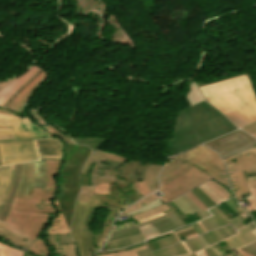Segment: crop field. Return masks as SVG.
<instances>
[{
	"mask_svg": "<svg viewBox=\"0 0 256 256\" xmlns=\"http://www.w3.org/2000/svg\"><path fill=\"white\" fill-rule=\"evenodd\" d=\"M186 99L189 106L178 113L173 136L169 140V156L237 129L201 98L194 84L189 85Z\"/></svg>",
	"mask_w": 256,
	"mask_h": 256,
	"instance_id": "1",
	"label": "crop field"
},
{
	"mask_svg": "<svg viewBox=\"0 0 256 256\" xmlns=\"http://www.w3.org/2000/svg\"><path fill=\"white\" fill-rule=\"evenodd\" d=\"M47 162V184L46 188H35L31 199L15 198L9 217L5 223L14 227L16 232L25 235V241L30 245V250L40 256H49L50 250L47 248L42 238H37L49 213L56 211L51 208V201L57 191L55 183L58 168L61 161Z\"/></svg>",
	"mask_w": 256,
	"mask_h": 256,
	"instance_id": "2",
	"label": "crop field"
},
{
	"mask_svg": "<svg viewBox=\"0 0 256 256\" xmlns=\"http://www.w3.org/2000/svg\"><path fill=\"white\" fill-rule=\"evenodd\" d=\"M163 167L158 164H142L130 161L123 165L106 160L93 176V186H82L77 201L88 202L92 194L118 195L117 188L130 192L125 184L134 183L144 195L159 188L157 173Z\"/></svg>",
	"mask_w": 256,
	"mask_h": 256,
	"instance_id": "3",
	"label": "crop field"
},
{
	"mask_svg": "<svg viewBox=\"0 0 256 256\" xmlns=\"http://www.w3.org/2000/svg\"><path fill=\"white\" fill-rule=\"evenodd\" d=\"M199 90L209 103L239 128L256 121V104L245 76L200 87Z\"/></svg>",
	"mask_w": 256,
	"mask_h": 256,
	"instance_id": "4",
	"label": "crop field"
},
{
	"mask_svg": "<svg viewBox=\"0 0 256 256\" xmlns=\"http://www.w3.org/2000/svg\"><path fill=\"white\" fill-rule=\"evenodd\" d=\"M89 154L90 149L87 147L77 145L65 146V166L60 174L59 183V188L61 190L59 205L68 228H70L74 201L80 190L79 173Z\"/></svg>",
	"mask_w": 256,
	"mask_h": 256,
	"instance_id": "5",
	"label": "crop field"
},
{
	"mask_svg": "<svg viewBox=\"0 0 256 256\" xmlns=\"http://www.w3.org/2000/svg\"><path fill=\"white\" fill-rule=\"evenodd\" d=\"M209 179L211 177L203 171L175 159L164 166L160 173L159 191L165 195L161 199L168 202Z\"/></svg>",
	"mask_w": 256,
	"mask_h": 256,
	"instance_id": "6",
	"label": "crop field"
},
{
	"mask_svg": "<svg viewBox=\"0 0 256 256\" xmlns=\"http://www.w3.org/2000/svg\"><path fill=\"white\" fill-rule=\"evenodd\" d=\"M87 203L77 202L71 233L77 245L79 256H92L104 245L102 233L93 235L89 230L95 208L86 207Z\"/></svg>",
	"mask_w": 256,
	"mask_h": 256,
	"instance_id": "7",
	"label": "crop field"
},
{
	"mask_svg": "<svg viewBox=\"0 0 256 256\" xmlns=\"http://www.w3.org/2000/svg\"><path fill=\"white\" fill-rule=\"evenodd\" d=\"M176 157L205 170L216 180L230 187L224 165L219 156L212 150L200 145Z\"/></svg>",
	"mask_w": 256,
	"mask_h": 256,
	"instance_id": "8",
	"label": "crop field"
},
{
	"mask_svg": "<svg viewBox=\"0 0 256 256\" xmlns=\"http://www.w3.org/2000/svg\"><path fill=\"white\" fill-rule=\"evenodd\" d=\"M205 145L218 152L222 160L256 146V140L242 131L231 133Z\"/></svg>",
	"mask_w": 256,
	"mask_h": 256,
	"instance_id": "9",
	"label": "crop field"
},
{
	"mask_svg": "<svg viewBox=\"0 0 256 256\" xmlns=\"http://www.w3.org/2000/svg\"><path fill=\"white\" fill-rule=\"evenodd\" d=\"M2 165L38 159L33 139L21 142L0 143Z\"/></svg>",
	"mask_w": 256,
	"mask_h": 256,
	"instance_id": "10",
	"label": "crop field"
},
{
	"mask_svg": "<svg viewBox=\"0 0 256 256\" xmlns=\"http://www.w3.org/2000/svg\"><path fill=\"white\" fill-rule=\"evenodd\" d=\"M117 190L120 193L118 196L93 195L88 204L89 207L104 208V209L111 210L104 222V227H103L104 243L107 239L108 233L110 232V226L112 224L113 219L116 217L118 213H120L122 210L128 207L121 202L125 200L128 202L132 201L124 197L123 196L124 193L120 189H117Z\"/></svg>",
	"mask_w": 256,
	"mask_h": 256,
	"instance_id": "11",
	"label": "crop field"
},
{
	"mask_svg": "<svg viewBox=\"0 0 256 256\" xmlns=\"http://www.w3.org/2000/svg\"><path fill=\"white\" fill-rule=\"evenodd\" d=\"M0 127H10L16 141L39 137H52L30 118L19 120L0 119Z\"/></svg>",
	"mask_w": 256,
	"mask_h": 256,
	"instance_id": "12",
	"label": "crop field"
},
{
	"mask_svg": "<svg viewBox=\"0 0 256 256\" xmlns=\"http://www.w3.org/2000/svg\"><path fill=\"white\" fill-rule=\"evenodd\" d=\"M46 75L47 72L44 70L41 74H39L35 79H33L28 85H26L23 88V90L16 96V98L13 100V102L8 106L6 110L0 108V113L24 117V114L18 113L19 110L24 104L27 96L31 93L35 86L44 79Z\"/></svg>",
	"mask_w": 256,
	"mask_h": 256,
	"instance_id": "13",
	"label": "crop field"
},
{
	"mask_svg": "<svg viewBox=\"0 0 256 256\" xmlns=\"http://www.w3.org/2000/svg\"><path fill=\"white\" fill-rule=\"evenodd\" d=\"M34 162L22 163L21 181L15 197L30 198L34 189Z\"/></svg>",
	"mask_w": 256,
	"mask_h": 256,
	"instance_id": "14",
	"label": "crop field"
},
{
	"mask_svg": "<svg viewBox=\"0 0 256 256\" xmlns=\"http://www.w3.org/2000/svg\"><path fill=\"white\" fill-rule=\"evenodd\" d=\"M240 190L234 191L238 202L244 201V193L249 192L247 183L249 182L251 196H256V170L235 173Z\"/></svg>",
	"mask_w": 256,
	"mask_h": 256,
	"instance_id": "15",
	"label": "crop field"
},
{
	"mask_svg": "<svg viewBox=\"0 0 256 256\" xmlns=\"http://www.w3.org/2000/svg\"><path fill=\"white\" fill-rule=\"evenodd\" d=\"M39 149L40 156H63L64 145L61 139L56 138H39L35 139Z\"/></svg>",
	"mask_w": 256,
	"mask_h": 256,
	"instance_id": "16",
	"label": "crop field"
},
{
	"mask_svg": "<svg viewBox=\"0 0 256 256\" xmlns=\"http://www.w3.org/2000/svg\"><path fill=\"white\" fill-rule=\"evenodd\" d=\"M228 173L256 169V156L249 152L238 158L224 162Z\"/></svg>",
	"mask_w": 256,
	"mask_h": 256,
	"instance_id": "17",
	"label": "crop field"
},
{
	"mask_svg": "<svg viewBox=\"0 0 256 256\" xmlns=\"http://www.w3.org/2000/svg\"><path fill=\"white\" fill-rule=\"evenodd\" d=\"M40 68L36 66H30V68L27 70L25 74H23L21 77L13 81L11 84H9L7 88L9 91L6 92L1 98H0V107L5 104V102L8 100V98L19 88L21 87L32 75H34Z\"/></svg>",
	"mask_w": 256,
	"mask_h": 256,
	"instance_id": "18",
	"label": "crop field"
},
{
	"mask_svg": "<svg viewBox=\"0 0 256 256\" xmlns=\"http://www.w3.org/2000/svg\"><path fill=\"white\" fill-rule=\"evenodd\" d=\"M15 172H14V177H13V182H12V187L11 190L5 200L4 205L2 206L0 210V220L4 221L10 207L12 204V200L14 198V194L17 190L19 181H20V175H21V164L14 165ZM9 214V213H8Z\"/></svg>",
	"mask_w": 256,
	"mask_h": 256,
	"instance_id": "19",
	"label": "crop field"
},
{
	"mask_svg": "<svg viewBox=\"0 0 256 256\" xmlns=\"http://www.w3.org/2000/svg\"><path fill=\"white\" fill-rule=\"evenodd\" d=\"M13 172V165L0 167V208L10 189Z\"/></svg>",
	"mask_w": 256,
	"mask_h": 256,
	"instance_id": "20",
	"label": "crop field"
},
{
	"mask_svg": "<svg viewBox=\"0 0 256 256\" xmlns=\"http://www.w3.org/2000/svg\"><path fill=\"white\" fill-rule=\"evenodd\" d=\"M106 159L117 161V162H121V163H123V162H125L127 160V159H123V158H121V157H119L117 155L106 153V152L98 150V151L92 153V155L89 158V160L87 161V163H86L82 173H85V171H86V169H87V167H88L90 162H94V163H97V164H96V166L94 167V169L92 171V175H95L96 169ZM92 175H91V183H92Z\"/></svg>",
	"mask_w": 256,
	"mask_h": 256,
	"instance_id": "21",
	"label": "crop field"
},
{
	"mask_svg": "<svg viewBox=\"0 0 256 256\" xmlns=\"http://www.w3.org/2000/svg\"><path fill=\"white\" fill-rule=\"evenodd\" d=\"M35 187H45L46 184V163L45 161L35 162Z\"/></svg>",
	"mask_w": 256,
	"mask_h": 256,
	"instance_id": "22",
	"label": "crop field"
},
{
	"mask_svg": "<svg viewBox=\"0 0 256 256\" xmlns=\"http://www.w3.org/2000/svg\"><path fill=\"white\" fill-rule=\"evenodd\" d=\"M47 242L49 246L63 245V244H74L70 234L64 235H48Z\"/></svg>",
	"mask_w": 256,
	"mask_h": 256,
	"instance_id": "23",
	"label": "crop field"
},
{
	"mask_svg": "<svg viewBox=\"0 0 256 256\" xmlns=\"http://www.w3.org/2000/svg\"><path fill=\"white\" fill-rule=\"evenodd\" d=\"M78 144L88 145L93 151L97 150L106 139L98 138H72Z\"/></svg>",
	"mask_w": 256,
	"mask_h": 256,
	"instance_id": "24",
	"label": "crop field"
},
{
	"mask_svg": "<svg viewBox=\"0 0 256 256\" xmlns=\"http://www.w3.org/2000/svg\"><path fill=\"white\" fill-rule=\"evenodd\" d=\"M52 256H77L74 245H63L54 247Z\"/></svg>",
	"mask_w": 256,
	"mask_h": 256,
	"instance_id": "25",
	"label": "crop field"
},
{
	"mask_svg": "<svg viewBox=\"0 0 256 256\" xmlns=\"http://www.w3.org/2000/svg\"><path fill=\"white\" fill-rule=\"evenodd\" d=\"M41 128L45 129L47 132H49L53 137H60L62 139V141L65 144H74L68 137L67 135H65L64 133H62L61 131H59L57 128H55L52 125H46V126H42Z\"/></svg>",
	"mask_w": 256,
	"mask_h": 256,
	"instance_id": "26",
	"label": "crop field"
},
{
	"mask_svg": "<svg viewBox=\"0 0 256 256\" xmlns=\"http://www.w3.org/2000/svg\"><path fill=\"white\" fill-rule=\"evenodd\" d=\"M0 256H22V250L0 242Z\"/></svg>",
	"mask_w": 256,
	"mask_h": 256,
	"instance_id": "27",
	"label": "crop field"
},
{
	"mask_svg": "<svg viewBox=\"0 0 256 256\" xmlns=\"http://www.w3.org/2000/svg\"><path fill=\"white\" fill-rule=\"evenodd\" d=\"M156 198H158V197H156L154 194H151V195L147 196L146 198H144V199L138 201L136 204H134L133 206L129 207L128 209H126V210H125L124 212H122L121 214H125V213H127V212L134 211V210H136V209H138V208H140V207L146 205L147 203H149V202L155 200ZM121 214H120V215H121Z\"/></svg>",
	"mask_w": 256,
	"mask_h": 256,
	"instance_id": "28",
	"label": "crop field"
},
{
	"mask_svg": "<svg viewBox=\"0 0 256 256\" xmlns=\"http://www.w3.org/2000/svg\"><path fill=\"white\" fill-rule=\"evenodd\" d=\"M199 189H201L205 194L208 195V197L213 200L216 204L224 201L222 198H220L215 192H213L208 186H206L205 184L198 187Z\"/></svg>",
	"mask_w": 256,
	"mask_h": 256,
	"instance_id": "29",
	"label": "crop field"
},
{
	"mask_svg": "<svg viewBox=\"0 0 256 256\" xmlns=\"http://www.w3.org/2000/svg\"><path fill=\"white\" fill-rule=\"evenodd\" d=\"M146 248H147V246L144 245L140 248H135L133 250L123 251V252H119V253L105 254V255H100V256H137L135 251L146 249Z\"/></svg>",
	"mask_w": 256,
	"mask_h": 256,
	"instance_id": "30",
	"label": "crop field"
},
{
	"mask_svg": "<svg viewBox=\"0 0 256 256\" xmlns=\"http://www.w3.org/2000/svg\"><path fill=\"white\" fill-rule=\"evenodd\" d=\"M160 204H163V202H161L160 199L158 198V199H156L155 201H153V202L147 204L146 206L140 208L139 210H137V211H135V212L128 213V214H126V215H129V214L133 215V214H136V213H140V212H142V211H144V210L151 209V208H153V207H155V206H158V205H160ZM121 216H125V215H121Z\"/></svg>",
	"mask_w": 256,
	"mask_h": 256,
	"instance_id": "31",
	"label": "crop field"
},
{
	"mask_svg": "<svg viewBox=\"0 0 256 256\" xmlns=\"http://www.w3.org/2000/svg\"><path fill=\"white\" fill-rule=\"evenodd\" d=\"M0 238L8 240V241H11V242H13V243L23 247V248L26 247V245H27L25 242H23V241H21V240H19L17 238H14V237H12L10 235L1 233V232H0Z\"/></svg>",
	"mask_w": 256,
	"mask_h": 256,
	"instance_id": "32",
	"label": "crop field"
},
{
	"mask_svg": "<svg viewBox=\"0 0 256 256\" xmlns=\"http://www.w3.org/2000/svg\"><path fill=\"white\" fill-rule=\"evenodd\" d=\"M0 231H1V232H4V233H7V234H10V235H13V236H15V237H17V238H20V239H22V240H23V238H24V237H22V236L16 234V233L14 232V230H13L12 227H10V226H8V225H6V224H3V223H0Z\"/></svg>",
	"mask_w": 256,
	"mask_h": 256,
	"instance_id": "33",
	"label": "crop field"
},
{
	"mask_svg": "<svg viewBox=\"0 0 256 256\" xmlns=\"http://www.w3.org/2000/svg\"><path fill=\"white\" fill-rule=\"evenodd\" d=\"M247 202H249L250 206L243 207L244 210L251 213L256 211V198L255 197H247Z\"/></svg>",
	"mask_w": 256,
	"mask_h": 256,
	"instance_id": "34",
	"label": "crop field"
},
{
	"mask_svg": "<svg viewBox=\"0 0 256 256\" xmlns=\"http://www.w3.org/2000/svg\"><path fill=\"white\" fill-rule=\"evenodd\" d=\"M43 70H39L34 76H32L21 88H19L11 97L10 99L7 101V103L4 105V109L7 108V106L12 102V100L15 98V96L20 92V90L27 84L29 83L34 77H36L40 72H42ZM23 90V89H22ZM21 90V91H22Z\"/></svg>",
	"mask_w": 256,
	"mask_h": 256,
	"instance_id": "35",
	"label": "crop field"
},
{
	"mask_svg": "<svg viewBox=\"0 0 256 256\" xmlns=\"http://www.w3.org/2000/svg\"><path fill=\"white\" fill-rule=\"evenodd\" d=\"M127 187H128V188L130 189V191H131L130 193H128V194L125 195L127 198H129V199L132 200L133 202H135V201L141 199V198L134 192V190L132 189V187L130 186V184L127 185Z\"/></svg>",
	"mask_w": 256,
	"mask_h": 256,
	"instance_id": "36",
	"label": "crop field"
},
{
	"mask_svg": "<svg viewBox=\"0 0 256 256\" xmlns=\"http://www.w3.org/2000/svg\"><path fill=\"white\" fill-rule=\"evenodd\" d=\"M245 75H246V77H247V79H248L250 85L252 86L253 83H252V81H251L250 75H249V74H245ZM241 76H243V75H241ZM236 77H240V76H236ZM236 77H232V78H236ZM228 79H231V78H228ZM225 80H226V79H225ZM221 81H223V80H221ZM221 81H218V82H221ZM213 83H217V82H213ZM213 83H209V84H213ZM195 84H196L197 87L204 86V85H209V84H204L203 82L195 83ZM251 89H252V88H251ZM252 91H253V90H252ZM253 94H254V92H253ZM254 101H255V103H256L255 95H254Z\"/></svg>",
	"mask_w": 256,
	"mask_h": 256,
	"instance_id": "37",
	"label": "crop field"
},
{
	"mask_svg": "<svg viewBox=\"0 0 256 256\" xmlns=\"http://www.w3.org/2000/svg\"><path fill=\"white\" fill-rule=\"evenodd\" d=\"M248 133H250L251 135H253L254 137H256V123L242 129Z\"/></svg>",
	"mask_w": 256,
	"mask_h": 256,
	"instance_id": "38",
	"label": "crop field"
},
{
	"mask_svg": "<svg viewBox=\"0 0 256 256\" xmlns=\"http://www.w3.org/2000/svg\"><path fill=\"white\" fill-rule=\"evenodd\" d=\"M208 185L213 191H215L219 196H221L224 200L228 199L226 195H224L220 190H218L216 187H214L212 184L209 182L205 183Z\"/></svg>",
	"mask_w": 256,
	"mask_h": 256,
	"instance_id": "39",
	"label": "crop field"
},
{
	"mask_svg": "<svg viewBox=\"0 0 256 256\" xmlns=\"http://www.w3.org/2000/svg\"><path fill=\"white\" fill-rule=\"evenodd\" d=\"M197 193H199L207 202H209L212 206L216 205L213 201H211L202 191L198 188L194 189Z\"/></svg>",
	"mask_w": 256,
	"mask_h": 256,
	"instance_id": "40",
	"label": "crop field"
},
{
	"mask_svg": "<svg viewBox=\"0 0 256 256\" xmlns=\"http://www.w3.org/2000/svg\"><path fill=\"white\" fill-rule=\"evenodd\" d=\"M210 183H212L214 186H216L217 188H219L223 193H225L228 197H230V193L228 191H226L223 187H221L218 183L213 182V181H209Z\"/></svg>",
	"mask_w": 256,
	"mask_h": 256,
	"instance_id": "41",
	"label": "crop field"
},
{
	"mask_svg": "<svg viewBox=\"0 0 256 256\" xmlns=\"http://www.w3.org/2000/svg\"><path fill=\"white\" fill-rule=\"evenodd\" d=\"M46 78H47V76H46ZM46 78H45L43 81H45ZM43 81H42V82H43ZM42 82H40V83L37 85V87L40 86ZM37 87H36V88H37ZM36 88H35V89H36ZM35 89L32 91V93L35 91ZM32 93L29 95V97L32 95ZM29 97H28L27 101L25 102L24 106L22 107V109L20 110L19 113H24V110H25V108H26V106H27Z\"/></svg>",
	"mask_w": 256,
	"mask_h": 256,
	"instance_id": "42",
	"label": "crop field"
},
{
	"mask_svg": "<svg viewBox=\"0 0 256 256\" xmlns=\"http://www.w3.org/2000/svg\"><path fill=\"white\" fill-rule=\"evenodd\" d=\"M0 118H2V119H19L21 117H14V116H10V115L0 114Z\"/></svg>",
	"mask_w": 256,
	"mask_h": 256,
	"instance_id": "43",
	"label": "crop field"
},
{
	"mask_svg": "<svg viewBox=\"0 0 256 256\" xmlns=\"http://www.w3.org/2000/svg\"><path fill=\"white\" fill-rule=\"evenodd\" d=\"M244 248H246V249H248V250H250V251H252L256 254V247L254 245L250 244V245H248Z\"/></svg>",
	"mask_w": 256,
	"mask_h": 256,
	"instance_id": "44",
	"label": "crop field"
},
{
	"mask_svg": "<svg viewBox=\"0 0 256 256\" xmlns=\"http://www.w3.org/2000/svg\"><path fill=\"white\" fill-rule=\"evenodd\" d=\"M0 139H14L13 135L0 136Z\"/></svg>",
	"mask_w": 256,
	"mask_h": 256,
	"instance_id": "45",
	"label": "crop field"
},
{
	"mask_svg": "<svg viewBox=\"0 0 256 256\" xmlns=\"http://www.w3.org/2000/svg\"><path fill=\"white\" fill-rule=\"evenodd\" d=\"M14 79H16V78H13V79L8 80V81H6V82H1V84L5 87V86L8 85L10 82H12Z\"/></svg>",
	"mask_w": 256,
	"mask_h": 256,
	"instance_id": "46",
	"label": "crop field"
},
{
	"mask_svg": "<svg viewBox=\"0 0 256 256\" xmlns=\"http://www.w3.org/2000/svg\"><path fill=\"white\" fill-rule=\"evenodd\" d=\"M249 215L247 213L243 214V215H239L237 217H239L240 219L244 220L248 217Z\"/></svg>",
	"mask_w": 256,
	"mask_h": 256,
	"instance_id": "47",
	"label": "crop field"
},
{
	"mask_svg": "<svg viewBox=\"0 0 256 256\" xmlns=\"http://www.w3.org/2000/svg\"><path fill=\"white\" fill-rule=\"evenodd\" d=\"M240 250H242V251H244V252H246V253H248V254H250V255H252V256H256L255 254H253L252 252H250V251H248V250H246V249H244V248H242V249H240Z\"/></svg>",
	"mask_w": 256,
	"mask_h": 256,
	"instance_id": "48",
	"label": "crop field"
},
{
	"mask_svg": "<svg viewBox=\"0 0 256 256\" xmlns=\"http://www.w3.org/2000/svg\"><path fill=\"white\" fill-rule=\"evenodd\" d=\"M247 152H249V150L246 151V152L240 153V154H238V155H235V156H233V157H231V158H228V159H226V160L233 159V158H235V157H237V156H240V155H242V154H245V153H247ZM224 161H225V160H224Z\"/></svg>",
	"mask_w": 256,
	"mask_h": 256,
	"instance_id": "49",
	"label": "crop field"
},
{
	"mask_svg": "<svg viewBox=\"0 0 256 256\" xmlns=\"http://www.w3.org/2000/svg\"><path fill=\"white\" fill-rule=\"evenodd\" d=\"M81 185H85L84 174H81Z\"/></svg>",
	"mask_w": 256,
	"mask_h": 256,
	"instance_id": "50",
	"label": "crop field"
},
{
	"mask_svg": "<svg viewBox=\"0 0 256 256\" xmlns=\"http://www.w3.org/2000/svg\"><path fill=\"white\" fill-rule=\"evenodd\" d=\"M182 245L185 247V249L188 251V253H191L190 249L185 245L184 242H182Z\"/></svg>",
	"mask_w": 256,
	"mask_h": 256,
	"instance_id": "51",
	"label": "crop field"
},
{
	"mask_svg": "<svg viewBox=\"0 0 256 256\" xmlns=\"http://www.w3.org/2000/svg\"><path fill=\"white\" fill-rule=\"evenodd\" d=\"M237 252H239L241 255H243V256H249V255H247V254H245L244 252H242V251H240V250H236Z\"/></svg>",
	"mask_w": 256,
	"mask_h": 256,
	"instance_id": "52",
	"label": "crop field"
},
{
	"mask_svg": "<svg viewBox=\"0 0 256 256\" xmlns=\"http://www.w3.org/2000/svg\"><path fill=\"white\" fill-rule=\"evenodd\" d=\"M0 131H10L9 128H0Z\"/></svg>",
	"mask_w": 256,
	"mask_h": 256,
	"instance_id": "53",
	"label": "crop field"
},
{
	"mask_svg": "<svg viewBox=\"0 0 256 256\" xmlns=\"http://www.w3.org/2000/svg\"><path fill=\"white\" fill-rule=\"evenodd\" d=\"M12 134L11 132H0V135Z\"/></svg>",
	"mask_w": 256,
	"mask_h": 256,
	"instance_id": "54",
	"label": "crop field"
},
{
	"mask_svg": "<svg viewBox=\"0 0 256 256\" xmlns=\"http://www.w3.org/2000/svg\"><path fill=\"white\" fill-rule=\"evenodd\" d=\"M251 152H253L256 155V147L251 149Z\"/></svg>",
	"mask_w": 256,
	"mask_h": 256,
	"instance_id": "55",
	"label": "crop field"
},
{
	"mask_svg": "<svg viewBox=\"0 0 256 256\" xmlns=\"http://www.w3.org/2000/svg\"><path fill=\"white\" fill-rule=\"evenodd\" d=\"M40 158H63V157H40Z\"/></svg>",
	"mask_w": 256,
	"mask_h": 256,
	"instance_id": "56",
	"label": "crop field"
},
{
	"mask_svg": "<svg viewBox=\"0 0 256 256\" xmlns=\"http://www.w3.org/2000/svg\"><path fill=\"white\" fill-rule=\"evenodd\" d=\"M15 141V140H0V142Z\"/></svg>",
	"mask_w": 256,
	"mask_h": 256,
	"instance_id": "57",
	"label": "crop field"
},
{
	"mask_svg": "<svg viewBox=\"0 0 256 256\" xmlns=\"http://www.w3.org/2000/svg\"><path fill=\"white\" fill-rule=\"evenodd\" d=\"M44 160H61V159H44Z\"/></svg>",
	"mask_w": 256,
	"mask_h": 256,
	"instance_id": "58",
	"label": "crop field"
},
{
	"mask_svg": "<svg viewBox=\"0 0 256 256\" xmlns=\"http://www.w3.org/2000/svg\"><path fill=\"white\" fill-rule=\"evenodd\" d=\"M24 256H31V255H29V254L25 253V255H24Z\"/></svg>",
	"mask_w": 256,
	"mask_h": 256,
	"instance_id": "59",
	"label": "crop field"
},
{
	"mask_svg": "<svg viewBox=\"0 0 256 256\" xmlns=\"http://www.w3.org/2000/svg\"><path fill=\"white\" fill-rule=\"evenodd\" d=\"M2 88H4V87H2V86L0 85V90H1Z\"/></svg>",
	"mask_w": 256,
	"mask_h": 256,
	"instance_id": "60",
	"label": "crop field"
},
{
	"mask_svg": "<svg viewBox=\"0 0 256 256\" xmlns=\"http://www.w3.org/2000/svg\"><path fill=\"white\" fill-rule=\"evenodd\" d=\"M0 166H1V157H0Z\"/></svg>",
	"mask_w": 256,
	"mask_h": 256,
	"instance_id": "61",
	"label": "crop field"
},
{
	"mask_svg": "<svg viewBox=\"0 0 256 256\" xmlns=\"http://www.w3.org/2000/svg\"><path fill=\"white\" fill-rule=\"evenodd\" d=\"M252 244H254V245L256 246V242H254V243H252Z\"/></svg>",
	"mask_w": 256,
	"mask_h": 256,
	"instance_id": "62",
	"label": "crop field"
}]
</instances>
